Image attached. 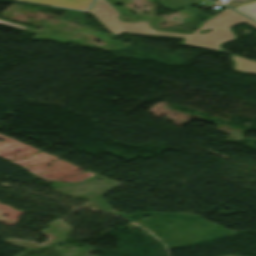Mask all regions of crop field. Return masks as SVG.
<instances>
[{
	"mask_svg": "<svg viewBox=\"0 0 256 256\" xmlns=\"http://www.w3.org/2000/svg\"><path fill=\"white\" fill-rule=\"evenodd\" d=\"M229 9L220 12L212 19H208L201 25L199 29L194 31L192 34L155 31L150 28V23L148 22H122L117 18L121 14L105 0H96L88 12L92 14L113 35H119L123 32H128L144 35L180 38L185 39L182 44L222 52L220 48L221 43L236 39V37L229 29L230 26L244 22L256 28L255 22L233 12L234 10L231 11L232 9ZM210 28H212L213 31L206 34L198 33V30L200 29L206 30ZM232 60L235 62L234 70L256 74V62L239 58L234 55H232Z\"/></svg>",
	"mask_w": 256,
	"mask_h": 256,
	"instance_id": "crop-field-1",
	"label": "crop field"
},
{
	"mask_svg": "<svg viewBox=\"0 0 256 256\" xmlns=\"http://www.w3.org/2000/svg\"><path fill=\"white\" fill-rule=\"evenodd\" d=\"M41 4L57 5L67 8L87 9L92 0H21Z\"/></svg>",
	"mask_w": 256,
	"mask_h": 256,
	"instance_id": "crop-field-2",
	"label": "crop field"
},
{
	"mask_svg": "<svg viewBox=\"0 0 256 256\" xmlns=\"http://www.w3.org/2000/svg\"><path fill=\"white\" fill-rule=\"evenodd\" d=\"M198 0H161L159 1L165 8L176 10L179 7L186 8Z\"/></svg>",
	"mask_w": 256,
	"mask_h": 256,
	"instance_id": "crop-field-3",
	"label": "crop field"
},
{
	"mask_svg": "<svg viewBox=\"0 0 256 256\" xmlns=\"http://www.w3.org/2000/svg\"><path fill=\"white\" fill-rule=\"evenodd\" d=\"M234 9L256 19V2L242 5L239 7H235Z\"/></svg>",
	"mask_w": 256,
	"mask_h": 256,
	"instance_id": "crop-field-4",
	"label": "crop field"
},
{
	"mask_svg": "<svg viewBox=\"0 0 256 256\" xmlns=\"http://www.w3.org/2000/svg\"><path fill=\"white\" fill-rule=\"evenodd\" d=\"M212 1H214V2H216V3H222V2L219 1V0H212Z\"/></svg>",
	"mask_w": 256,
	"mask_h": 256,
	"instance_id": "crop-field-5",
	"label": "crop field"
}]
</instances>
